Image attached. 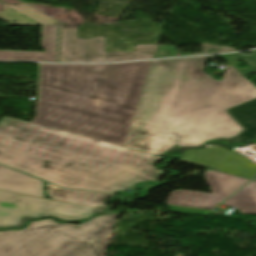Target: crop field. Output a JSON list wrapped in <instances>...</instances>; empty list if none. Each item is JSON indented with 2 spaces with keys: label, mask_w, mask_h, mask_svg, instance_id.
<instances>
[{
  "label": "crop field",
  "mask_w": 256,
  "mask_h": 256,
  "mask_svg": "<svg viewBox=\"0 0 256 256\" xmlns=\"http://www.w3.org/2000/svg\"><path fill=\"white\" fill-rule=\"evenodd\" d=\"M208 57L153 61L125 147L161 156L175 140L230 138L244 130L225 110L256 98L228 64L222 81L202 72Z\"/></svg>",
  "instance_id": "8a807250"
},
{
  "label": "crop field",
  "mask_w": 256,
  "mask_h": 256,
  "mask_svg": "<svg viewBox=\"0 0 256 256\" xmlns=\"http://www.w3.org/2000/svg\"><path fill=\"white\" fill-rule=\"evenodd\" d=\"M162 157L36 124L0 121V164L55 185L145 197L163 174ZM126 189L133 192H124Z\"/></svg>",
  "instance_id": "ac0d7876"
},
{
  "label": "crop field",
  "mask_w": 256,
  "mask_h": 256,
  "mask_svg": "<svg viewBox=\"0 0 256 256\" xmlns=\"http://www.w3.org/2000/svg\"><path fill=\"white\" fill-rule=\"evenodd\" d=\"M151 62L40 64L32 122L123 146Z\"/></svg>",
  "instance_id": "34b2d1b8"
},
{
  "label": "crop field",
  "mask_w": 256,
  "mask_h": 256,
  "mask_svg": "<svg viewBox=\"0 0 256 256\" xmlns=\"http://www.w3.org/2000/svg\"><path fill=\"white\" fill-rule=\"evenodd\" d=\"M115 216L79 226L48 219L20 231L0 232V256H106Z\"/></svg>",
  "instance_id": "412701ff"
},
{
  "label": "crop field",
  "mask_w": 256,
  "mask_h": 256,
  "mask_svg": "<svg viewBox=\"0 0 256 256\" xmlns=\"http://www.w3.org/2000/svg\"><path fill=\"white\" fill-rule=\"evenodd\" d=\"M97 212L107 211L0 190V228L18 227L30 218L55 216L72 221Z\"/></svg>",
  "instance_id": "f4fd0767"
},
{
  "label": "crop field",
  "mask_w": 256,
  "mask_h": 256,
  "mask_svg": "<svg viewBox=\"0 0 256 256\" xmlns=\"http://www.w3.org/2000/svg\"><path fill=\"white\" fill-rule=\"evenodd\" d=\"M104 37L77 39V30L61 29L60 62H110L153 58L157 45H137L134 52L104 53Z\"/></svg>",
  "instance_id": "dd49c442"
},
{
  "label": "crop field",
  "mask_w": 256,
  "mask_h": 256,
  "mask_svg": "<svg viewBox=\"0 0 256 256\" xmlns=\"http://www.w3.org/2000/svg\"><path fill=\"white\" fill-rule=\"evenodd\" d=\"M212 194L179 190L170 193L166 203L213 210L248 179L208 170L203 173Z\"/></svg>",
  "instance_id": "e52e79f7"
},
{
  "label": "crop field",
  "mask_w": 256,
  "mask_h": 256,
  "mask_svg": "<svg viewBox=\"0 0 256 256\" xmlns=\"http://www.w3.org/2000/svg\"><path fill=\"white\" fill-rule=\"evenodd\" d=\"M181 162L204 166L249 179L256 174V165L235 152H228L220 147L188 150L184 153Z\"/></svg>",
  "instance_id": "d8731c3e"
},
{
  "label": "crop field",
  "mask_w": 256,
  "mask_h": 256,
  "mask_svg": "<svg viewBox=\"0 0 256 256\" xmlns=\"http://www.w3.org/2000/svg\"><path fill=\"white\" fill-rule=\"evenodd\" d=\"M0 19L13 26L60 24L25 3L8 5L0 1Z\"/></svg>",
  "instance_id": "5a996713"
},
{
  "label": "crop field",
  "mask_w": 256,
  "mask_h": 256,
  "mask_svg": "<svg viewBox=\"0 0 256 256\" xmlns=\"http://www.w3.org/2000/svg\"><path fill=\"white\" fill-rule=\"evenodd\" d=\"M57 37V25L42 26V48H45L44 53L0 51V60L57 62Z\"/></svg>",
  "instance_id": "3316defc"
},
{
  "label": "crop field",
  "mask_w": 256,
  "mask_h": 256,
  "mask_svg": "<svg viewBox=\"0 0 256 256\" xmlns=\"http://www.w3.org/2000/svg\"><path fill=\"white\" fill-rule=\"evenodd\" d=\"M46 194L53 200L105 210L108 208L104 201L114 196V194L61 189L49 183H46Z\"/></svg>",
  "instance_id": "28ad6ade"
},
{
  "label": "crop field",
  "mask_w": 256,
  "mask_h": 256,
  "mask_svg": "<svg viewBox=\"0 0 256 256\" xmlns=\"http://www.w3.org/2000/svg\"><path fill=\"white\" fill-rule=\"evenodd\" d=\"M0 189L44 198L42 182L0 166Z\"/></svg>",
  "instance_id": "d1516ede"
},
{
  "label": "crop field",
  "mask_w": 256,
  "mask_h": 256,
  "mask_svg": "<svg viewBox=\"0 0 256 256\" xmlns=\"http://www.w3.org/2000/svg\"><path fill=\"white\" fill-rule=\"evenodd\" d=\"M227 112L245 129L236 136V140L249 141L256 138V99Z\"/></svg>",
  "instance_id": "22f410ed"
},
{
  "label": "crop field",
  "mask_w": 256,
  "mask_h": 256,
  "mask_svg": "<svg viewBox=\"0 0 256 256\" xmlns=\"http://www.w3.org/2000/svg\"><path fill=\"white\" fill-rule=\"evenodd\" d=\"M224 205L234 207L242 214L256 215V181H252L227 201Z\"/></svg>",
  "instance_id": "cbeb9de0"
},
{
  "label": "crop field",
  "mask_w": 256,
  "mask_h": 256,
  "mask_svg": "<svg viewBox=\"0 0 256 256\" xmlns=\"http://www.w3.org/2000/svg\"><path fill=\"white\" fill-rule=\"evenodd\" d=\"M251 55L249 56H243L239 53L231 54V55H221L225 61H227L231 66H233L238 72H240L242 75L254 73L256 72V50L251 51ZM238 59H242L245 63H247L250 67L240 69L238 68V65L240 63L237 62Z\"/></svg>",
  "instance_id": "5142ce71"
},
{
  "label": "crop field",
  "mask_w": 256,
  "mask_h": 256,
  "mask_svg": "<svg viewBox=\"0 0 256 256\" xmlns=\"http://www.w3.org/2000/svg\"><path fill=\"white\" fill-rule=\"evenodd\" d=\"M176 55L175 46L158 45L154 58L158 57H170Z\"/></svg>",
  "instance_id": "d9b57169"
},
{
  "label": "crop field",
  "mask_w": 256,
  "mask_h": 256,
  "mask_svg": "<svg viewBox=\"0 0 256 256\" xmlns=\"http://www.w3.org/2000/svg\"><path fill=\"white\" fill-rule=\"evenodd\" d=\"M169 208L170 210L175 212H181V213L192 214V215L209 216L211 214V212L209 211L194 210V209L172 207V206H169Z\"/></svg>",
  "instance_id": "733c2abd"
},
{
  "label": "crop field",
  "mask_w": 256,
  "mask_h": 256,
  "mask_svg": "<svg viewBox=\"0 0 256 256\" xmlns=\"http://www.w3.org/2000/svg\"><path fill=\"white\" fill-rule=\"evenodd\" d=\"M100 66L94 67L93 70H100Z\"/></svg>",
  "instance_id": "4a817a6b"
},
{
  "label": "crop field",
  "mask_w": 256,
  "mask_h": 256,
  "mask_svg": "<svg viewBox=\"0 0 256 256\" xmlns=\"http://www.w3.org/2000/svg\"><path fill=\"white\" fill-rule=\"evenodd\" d=\"M254 180H256V178Z\"/></svg>",
  "instance_id": "bc2a9ffb"
}]
</instances>
